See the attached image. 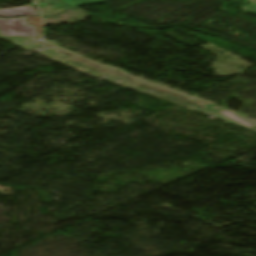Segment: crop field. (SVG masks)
Returning a JSON list of instances; mask_svg holds the SVG:
<instances>
[{
    "mask_svg": "<svg viewBox=\"0 0 256 256\" xmlns=\"http://www.w3.org/2000/svg\"><path fill=\"white\" fill-rule=\"evenodd\" d=\"M61 1L66 3L67 5H69L71 7L105 2L104 0H61Z\"/></svg>",
    "mask_w": 256,
    "mask_h": 256,
    "instance_id": "crop-field-3",
    "label": "crop field"
},
{
    "mask_svg": "<svg viewBox=\"0 0 256 256\" xmlns=\"http://www.w3.org/2000/svg\"><path fill=\"white\" fill-rule=\"evenodd\" d=\"M2 36H37L34 26L27 25L25 18L0 19Z\"/></svg>",
    "mask_w": 256,
    "mask_h": 256,
    "instance_id": "crop-field-1",
    "label": "crop field"
},
{
    "mask_svg": "<svg viewBox=\"0 0 256 256\" xmlns=\"http://www.w3.org/2000/svg\"><path fill=\"white\" fill-rule=\"evenodd\" d=\"M35 4L28 5L22 8L13 9H0V17H16L23 15H39V13L33 8Z\"/></svg>",
    "mask_w": 256,
    "mask_h": 256,
    "instance_id": "crop-field-2",
    "label": "crop field"
}]
</instances>
